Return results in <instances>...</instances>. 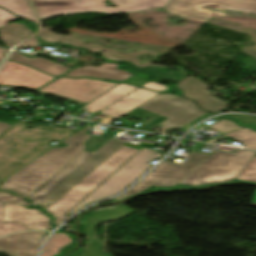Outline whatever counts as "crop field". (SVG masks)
Wrapping results in <instances>:
<instances>
[{"label": "crop field", "instance_id": "8a807250", "mask_svg": "<svg viewBox=\"0 0 256 256\" xmlns=\"http://www.w3.org/2000/svg\"><path fill=\"white\" fill-rule=\"evenodd\" d=\"M70 131L43 126L25 129V123L14 124L0 136V182L50 148L49 141H61Z\"/></svg>", "mask_w": 256, "mask_h": 256}, {"label": "crop field", "instance_id": "ac0d7876", "mask_svg": "<svg viewBox=\"0 0 256 256\" xmlns=\"http://www.w3.org/2000/svg\"><path fill=\"white\" fill-rule=\"evenodd\" d=\"M92 127L93 125H90L65 140L63 143L68 144L66 148H53L12 177L10 176L11 178L0 186V190L14 191L18 195L28 198L79 152L86 148L81 144L89 139L91 135L84 133ZM30 171L31 173L28 174Z\"/></svg>", "mask_w": 256, "mask_h": 256}, {"label": "crop field", "instance_id": "34b2d1b8", "mask_svg": "<svg viewBox=\"0 0 256 256\" xmlns=\"http://www.w3.org/2000/svg\"><path fill=\"white\" fill-rule=\"evenodd\" d=\"M124 143L110 139L95 154L82 151L28 199L45 209Z\"/></svg>", "mask_w": 256, "mask_h": 256}, {"label": "crop field", "instance_id": "412701ff", "mask_svg": "<svg viewBox=\"0 0 256 256\" xmlns=\"http://www.w3.org/2000/svg\"><path fill=\"white\" fill-rule=\"evenodd\" d=\"M138 150L122 146L105 161L97 166L86 177L69 189L47 209L49 214L55 216V225H59L66 218V214L113 174L121 165H123Z\"/></svg>", "mask_w": 256, "mask_h": 256}, {"label": "crop field", "instance_id": "f4fd0767", "mask_svg": "<svg viewBox=\"0 0 256 256\" xmlns=\"http://www.w3.org/2000/svg\"><path fill=\"white\" fill-rule=\"evenodd\" d=\"M116 8H109L105 0H32L41 20L79 12L119 14L165 7L170 0H109Z\"/></svg>", "mask_w": 256, "mask_h": 256}, {"label": "crop field", "instance_id": "dd49c442", "mask_svg": "<svg viewBox=\"0 0 256 256\" xmlns=\"http://www.w3.org/2000/svg\"><path fill=\"white\" fill-rule=\"evenodd\" d=\"M238 149L234 154L216 151L200 164L181 184L199 186L232 181L255 155Z\"/></svg>", "mask_w": 256, "mask_h": 256}, {"label": "crop field", "instance_id": "e52e79f7", "mask_svg": "<svg viewBox=\"0 0 256 256\" xmlns=\"http://www.w3.org/2000/svg\"><path fill=\"white\" fill-rule=\"evenodd\" d=\"M161 156H163V154L157 153L156 150L143 147L113 175L71 210L67 216L72 215L85 205L125 190L151 166V164H149L151 161Z\"/></svg>", "mask_w": 256, "mask_h": 256}, {"label": "crop field", "instance_id": "d8731c3e", "mask_svg": "<svg viewBox=\"0 0 256 256\" xmlns=\"http://www.w3.org/2000/svg\"><path fill=\"white\" fill-rule=\"evenodd\" d=\"M208 156L209 155L190 152L188 160L183 165H177L164 160L133 189H131L125 195L115 198L114 200L117 201L121 198L135 195L147 189L151 185L158 187H172L187 177Z\"/></svg>", "mask_w": 256, "mask_h": 256}, {"label": "crop field", "instance_id": "5a996713", "mask_svg": "<svg viewBox=\"0 0 256 256\" xmlns=\"http://www.w3.org/2000/svg\"><path fill=\"white\" fill-rule=\"evenodd\" d=\"M139 108L169 118L160 125L176 128H180L206 113L200 111L194 102L170 94H160Z\"/></svg>", "mask_w": 256, "mask_h": 256}, {"label": "crop field", "instance_id": "3316defc", "mask_svg": "<svg viewBox=\"0 0 256 256\" xmlns=\"http://www.w3.org/2000/svg\"><path fill=\"white\" fill-rule=\"evenodd\" d=\"M117 84L84 78H60L38 90V92L70 99L75 101L76 104L82 105L101 96Z\"/></svg>", "mask_w": 256, "mask_h": 256}, {"label": "crop field", "instance_id": "28ad6ade", "mask_svg": "<svg viewBox=\"0 0 256 256\" xmlns=\"http://www.w3.org/2000/svg\"><path fill=\"white\" fill-rule=\"evenodd\" d=\"M133 212L135 211L124 205H117L112 208L96 210L90 213V216L84 217L86 247L81 248L72 256H109L104 252L102 244L96 237V227L102 222L118 220Z\"/></svg>", "mask_w": 256, "mask_h": 256}, {"label": "crop field", "instance_id": "d1516ede", "mask_svg": "<svg viewBox=\"0 0 256 256\" xmlns=\"http://www.w3.org/2000/svg\"><path fill=\"white\" fill-rule=\"evenodd\" d=\"M55 77L29 66L7 60L0 71V84L21 87L28 90H36Z\"/></svg>", "mask_w": 256, "mask_h": 256}, {"label": "crop field", "instance_id": "22f410ed", "mask_svg": "<svg viewBox=\"0 0 256 256\" xmlns=\"http://www.w3.org/2000/svg\"><path fill=\"white\" fill-rule=\"evenodd\" d=\"M38 36H39L40 40L47 42V43L64 42V43H67L70 45L86 48L88 50H91V51H94L97 53L104 51L102 53V57H104L106 59L116 60V61L127 60V61L132 62L133 64H135L136 66H138L140 68H145L151 64L146 63L143 65H139L138 60L136 58L137 55L148 53L150 55L161 57V55L153 54L146 50H142L138 53L131 52L128 55H126V54H122L114 49H106V48L96 45V44H85L75 38L64 36V35H57L53 32L47 31V30H43L41 33L38 34Z\"/></svg>", "mask_w": 256, "mask_h": 256}, {"label": "crop field", "instance_id": "cbeb9de0", "mask_svg": "<svg viewBox=\"0 0 256 256\" xmlns=\"http://www.w3.org/2000/svg\"><path fill=\"white\" fill-rule=\"evenodd\" d=\"M46 232H23L0 238V252L9 256H36Z\"/></svg>", "mask_w": 256, "mask_h": 256}, {"label": "crop field", "instance_id": "5142ce71", "mask_svg": "<svg viewBox=\"0 0 256 256\" xmlns=\"http://www.w3.org/2000/svg\"><path fill=\"white\" fill-rule=\"evenodd\" d=\"M16 221L24 224L29 230L52 229L47 215L36 210L27 209L15 203H4L3 222Z\"/></svg>", "mask_w": 256, "mask_h": 256}, {"label": "crop field", "instance_id": "d9b57169", "mask_svg": "<svg viewBox=\"0 0 256 256\" xmlns=\"http://www.w3.org/2000/svg\"><path fill=\"white\" fill-rule=\"evenodd\" d=\"M177 87L183 91L185 97L195 100L202 109L217 113L228 105L209 95L208 87L193 76L179 82Z\"/></svg>", "mask_w": 256, "mask_h": 256}, {"label": "crop field", "instance_id": "733c2abd", "mask_svg": "<svg viewBox=\"0 0 256 256\" xmlns=\"http://www.w3.org/2000/svg\"><path fill=\"white\" fill-rule=\"evenodd\" d=\"M209 3L222 4V5H225V7H231V8L256 10V0H250L249 2H237V1H229V0H171L168 3V5L165 7V9L178 10V9L192 7L195 11L187 10V11L181 12L180 14L186 17L204 21L207 18H209V14L198 12L194 6L209 4Z\"/></svg>", "mask_w": 256, "mask_h": 256}, {"label": "crop field", "instance_id": "4a817a6b", "mask_svg": "<svg viewBox=\"0 0 256 256\" xmlns=\"http://www.w3.org/2000/svg\"><path fill=\"white\" fill-rule=\"evenodd\" d=\"M158 94L139 88L100 112L118 119Z\"/></svg>", "mask_w": 256, "mask_h": 256}, {"label": "crop field", "instance_id": "bc2a9ffb", "mask_svg": "<svg viewBox=\"0 0 256 256\" xmlns=\"http://www.w3.org/2000/svg\"><path fill=\"white\" fill-rule=\"evenodd\" d=\"M118 64L114 63H103L100 66H92L88 65L85 67L77 68L64 76H69L72 78H78L80 76L83 77H91V78H101V79H109V80H118L123 81L131 76V73L116 69Z\"/></svg>", "mask_w": 256, "mask_h": 256}, {"label": "crop field", "instance_id": "214f88e0", "mask_svg": "<svg viewBox=\"0 0 256 256\" xmlns=\"http://www.w3.org/2000/svg\"><path fill=\"white\" fill-rule=\"evenodd\" d=\"M8 59L29 65L52 76H61L63 73L70 69L48 59L39 57L29 59L16 52H12Z\"/></svg>", "mask_w": 256, "mask_h": 256}, {"label": "crop field", "instance_id": "92a150f3", "mask_svg": "<svg viewBox=\"0 0 256 256\" xmlns=\"http://www.w3.org/2000/svg\"><path fill=\"white\" fill-rule=\"evenodd\" d=\"M135 89H137V87L120 84L111 89L110 91L106 92L101 97L91 101L89 104L82 107L81 109L84 110L85 108H88L86 111L95 113L104 109L105 107L109 106L110 104L114 103L115 101L119 100L120 98L124 97Z\"/></svg>", "mask_w": 256, "mask_h": 256}, {"label": "crop field", "instance_id": "dafd665d", "mask_svg": "<svg viewBox=\"0 0 256 256\" xmlns=\"http://www.w3.org/2000/svg\"><path fill=\"white\" fill-rule=\"evenodd\" d=\"M32 34V31L27 26L18 23H10L0 28V39L9 48Z\"/></svg>", "mask_w": 256, "mask_h": 256}, {"label": "crop field", "instance_id": "00972430", "mask_svg": "<svg viewBox=\"0 0 256 256\" xmlns=\"http://www.w3.org/2000/svg\"><path fill=\"white\" fill-rule=\"evenodd\" d=\"M0 7L9 10L24 19L36 23L32 9L27 0H0Z\"/></svg>", "mask_w": 256, "mask_h": 256}, {"label": "crop field", "instance_id": "a9b5d70f", "mask_svg": "<svg viewBox=\"0 0 256 256\" xmlns=\"http://www.w3.org/2000/svg\"><path fill=\"white\" fill-rule=\"evenodd\" d=\"M73 239L66 233H54L44 245L41 256H55L60 249L72 243Z\"/></svg>", "mask_w": 256, "mask_h": 256}, {"label": "crop field", "instance_id": "4177f3b9", "mask_svg": "<svg viewBox=\"0 0 256 256\" xmlns=\"http://www.w3.org/2000/svg\"><path fill=\"white\" fill-rule=\"evenodd\" d=\"M224 136H227V137L233 138L237 141L243 142L244 148L256 150V132L252 129L242 128V129L224 134L221 137H224ZM221 137H219V138H221ZM219 138H217V139H219ZM217 139L210 140L207 143H212Z\"/></svg>", "mask_w": 256, "mask_h": 256}, {"label": "crop field", "instance_id": "730fd06b", "mask_svg": "<svg viewBox=\"0 0 256 256\" xmlns=\"http://www.w3.org/2000/svg\"><path fill=\"white\" fill-rule=\"evenodd\" d=\"M207 22L214 23V24L226 27V28H230V29L242 32V33L249 34V35L252 36L250 41H252L253 43L256 44V32L252 29H249V28H246V27H243V26H239V25H236V24H233V23H229V22H226V21H223V20H219V19H216V18H210L209 20H207ZM242 52L256 58V46L250 47V48H244L242 50Z\"/></svg>", "mask_w": 256, "mask_h": 256}, {"label": "crop field", "instance_id": "eef30255", "mask_svg": "<svg viewBox=\"0 0 256 256\" xmlns=\"http://www.w3.org/2000/svg\"><path fill=\"white\" fill-rule=\"evenodd\" d=\"M233 181L256 184V159H252Z\"/></svg>", "mask_w": 256, "mask_h": 256}, {"label": "crop field", "instance_id": "ae1a2a85", "mask_svg": "<svg viewBox=\"0 0 256 256\" xmlns=\"http://www.w3.org/2000/svg\"><path fill=\"white\" fill-rule=\"evenodd\" d=\"M2 212H3V203L0 202V236L17 232V231L28 230L24 225L20 223H15V222L7 223V224L2 223Z\"/></svg>", "mask_w": 256, "mask_h": 256}, {"label": "crop field", "instance_id": "d3111659", "mask_svg": "<svg viewBox=\"0 0 256 256\" xmlns=\"http://www.w3.org/2000/svg\"><path fill=\"white\" fill-rule=\"evenodd\" d=\"M210 128L219 131L221 134H224L242 127L237 126L234 122L222 119L215 124L205 128L204 130H208Z\"/></svg>", "mask_w": 256, "mask_h": 256}, {"label": "crop field", "instance_id": "750c4746", "mask_svg": "<svg viewBox=\"0 0 256 256\" xmlns=\"http://www.w3.org/2000/svg\"><path fill=\"white\" fill-rule=\"evenodd\" d=\"M0 201L1 202H16L18 204H21L25 207H27L29 205V203L27 202H24V199L23 198H18L16 196H13V195H6V194H3V192H0Z\"/></svg>", "mask_w": 256, "mask_h": 256}, {"label": "crop field", "instance_id": "bd1437ed", "mask_svg": "<svg viewBox=\"0 0 256 256\" xmlns=\"http://www.w3.org/2000/svg\"><path fill=\"white\" fill-rule=\"evenodd\" d=\"M18 19L16 16H14L13 14L0 9V27L10 23L11 21H14Z\"/></svg>", "mask_w": 256, "mask_h": 256}, {"label": "crop field", "instance_id": "1d83c4d3", "mask_svg": "<svg viewBox=\"0 0 256 256\" xmlns=\"http://www.w3.org/2000/svg\"><path fill=\"white\" fill-rule=\"evenodd\" d=\"M127 115L130 116V117L134 116V117L142 119V120L146 119L150 115H152L154 117L158 116L154 113H151V112L139 109V108L133 110L132 112L128 113Z\"/></svg>", "mask_w": 256, "mask_h": 256}, {"label": "crop field", "instance_id": "120bbe31", "mask_svg": "<svg viewBox=\"0 0 256 256\" xmlns=\"http://www.w3.org/2000/svg\"><path fill=\"white\" fill-rule=\"evenodd\" d=\"M167 118L161 116L155 120H153L152 122L146 124L145 126L141 127L139 130H145V131H148L150 130L151 128H153L154 126L160 124L161 122L165 121Z\"/></svg>", "mask_w": 256, "mask_h": 256}, {"label": "crop field", "instance_id": "d32e631a", "mask_svg": "<svg viewBox=\"0 0 256 256\" xmlns=\"http://www.w3.org/2000/svg\"><path fill=\"white\" fill-rule=\"evenodd\" d=\"M142 87L148 88L150 90H157L159 92H162L167 89V87H165L163 85H159V84L152 83V82H149V83L143 85Z\"/></svg>", "mask_w": 256, "mask_h": 256}, {"label": "crop field", "instance_id": "5866460e", "mask_svg": "<svg viewBox=\"0 0 256 256\" xmlns=\"http://www.w3.org/2000/svg\"><path fill=\"white\" fill-rule=\"evenodd\" d=\"M229 118L240 120L247 124H251L256 121V117H250V116H229Z\"/></svg>", "mask_w": 256, "mask_h": 256}, {"label": "crop field", "instance_id": "028f5c9d", "mask_svg": "<svg viewBox=\"0 0 256 256\" xmlns=\"http://www.w3.org/2000/svg\"><path fill=\"white\" fill-rule=\"evenodd\" d=\"M21 45H24V46H27V47H35V46H39L40 44H39V42H38V40L35 36V37L29 39L28 41L20 44L18 47L15 48V50H17Z\"/></svg>", "mask_w": 256, "mask_h": 256}, {"label": "crop field", "instance_id": "e1f06a70", "mask_svg": "<svg viewBox=\"0 0 256 256\" xmlns=\"http://www.w3.org/2000/svg\"><path fill=\"white\" fill-rule=\"evenodd\" d=\"M124 82H128V83H131V84H135V85L141 86V85L147 83L148 81H145V80H142V79H139V78L133 76V77L125 80Z\"/></svg>", "mask_w": 256, "mask_h": 256}, {"label": "crop field", "instance_id": "0bd39190", "mask_svg": "<svg viewBox=\"0 0 256 256\" xmlns=\"http://www.w3.org/2000/svg\"><path fill=\"white\" fill-rule=\"evenodd\" d=\"M213 5H215V4H213ZM217 6H221V5H217ZM200 7H201V6H197V7H196L198 11H200V12H207V11L201 9ZM221 7H223V6H221ZM223 8H225V7H223ZM189 9H192V8H189ZM226 9H230V10H239V11H249V12H255V13H256V11H251V10H241V9H231V8H226ZM184 10H186V9H184ZM192 10H193V9H192ZM181 11H183V10L170 11V12L179 14ZM208 13H210V16H211L212 13H211V12H208Z\"/></svg>", "mask_w": 256, "mask_h": 256}, {"label": "crop field", "instance_id": "b80d0937", "mask_svg": "<svg viewBox=\"0 0 256 256\" xmlns=\"http://www.w3.org/2000/svg\"><path fill=\"white\" fill-rule=\"evenodd\" d=\"M11 126L6 123H0V135L8 130Z\"/></svg>", "mask_w": 256, "mask_h": 256}, {"label": "crop field", "instance_id": "c035e120", "mask_svg": "<svg viewBox=\"0 0 256 256\" xmlns=\"http://www.w3.org/2000/svg\"><path fill=\"white\" fill-rule=\"evenodd\" d=\"M8 52V50L0 49V63L2 62V60L7 55Z\"/></svg>", "mask_w": 256, "mask_h": 256}, {"label": "crop field", "instance_id": "c21b1889", "mask_svg": "<svg viewBox=\"0 0 256 256\" xmlns=\"http://www.w3.org/2000/svg\"><path fill=\"white\" fill-rule=\"evenodd\" d=\"M252 202H256V191H255L254 198H253Z\"/></svg>", "mask_w": 256, "mask_h": 256}, {"label": "crop field", "instance_id": "03da06ac", "mask_svg": "<svg viewBox=\"0 0 256 256\" xmlns=\"http://www.w3.org/2000/svg\"><path fill=\"white\" fill-rule=\"evenodd\" d=\"M238 1H249V0H238Z\"/></svg>", "mask_w": 256, "mask_h": 256}, {"label": "crop field", "instance_id": "b54c1fbb", "mask_svg": "<svg viewBox=\"0 0 256 256\" xmlns=\"http://www.w3.org/2000/svg\"><path fill=\"white\" fill-rule=\"evenodd\" d=\"M252 125H256V122H255V123H253Z\"/></svg>", "mask_w": 256, "mask_h": 256}]
</instances>
